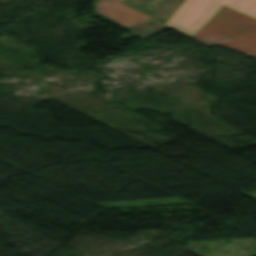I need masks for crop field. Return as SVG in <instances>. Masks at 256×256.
Segmentation results:
<instances>
[{
    "instance_id": "8a807250",
    "label": "crop field",
    "mask_w": 256,
    "mask_h": 256,
    "mask_svg": "<svg viewBox=\"0 0 256 256\" xmlns=\"http://www.w3.org/2000/svg\"><path fill=\"white\" fill-rule=\"evenodd\" d=\"M192 38L256 57V19L225 5Z\"/></svg>"
},
{
    "instance_id": "ac0d7876",
    "label": "crop field",
    "mask_w": 256,
    "mask_h": 256,
    "mask_svg": "<svg viewBox=\"0 0 256 256\" xmlns=\"http://www.w3.org/2000/svg\"><path fill=\"white\" fill-rule=\"evenodd\" d=\"M223 4L256 18V0H185L166 24L192 37Z\"/></svg>"
},
{
    "instance_id": "34b2d1b8",
    "label": "crop field",
    "mask_w": 256,
    "mask_h": 256,
    "mask_svg": "<svg viewBox=\"0 0 256 256\" xmlns=\"http://www.w3.org/2000/svg\"><path fill=\"white\" fill-rule=\"evenodd\" d=\"M95 5L97 13L128 29L153 20L117 0H97Z\"/></svg>"
},
{
    "instance_id": "412701ff",
    "label": "crop field",
    "mask_w": 256,
    "mask_h": 256,
    "mask_svg": "<svg viewBox=\"0 0 256 256\" xmlns=\"http://www.w3.org/2000/svg\"><path fill=\"white\" fill-rule=\"evenodd\" d=\"M183 0H123L121 2L164 23Z\"/></svg>"
},
{
    "instance_id": "f4fd0767",
    "label": "crop field",
    "mask_w": 256,
    "mask_h": 256,
    "mask_svg": "<svg viewBox=\"0 0 256 256\" xmlns=\"http://www.w3.org/2000/svg\"><path fill=\"white\" fill-rule=\"evenodd\" d=\"M136 27V26H135ZM169 26L162 24L156 20H153L151 22H148L146 24H143L141 26H138L136 28L131 29L136 34L140 35L141 37L145 38L151 34H154L160 30H163Z\"/></svg>"
},
{
    "instance_id": "dd49c442",
    "label": "crop field",
    "mask_w": 256,
    "mask_h": 256,
    "mask_svg": "<svg viewBox=\"0 0 256 256\" xmlns=\"http://www.w3.org/2000/svg\"><path fill=\"white\" fill-rule=\"evenodd\" d=\"M119 1H121V0H119Z\"/></svg>"
}]
</instances>
